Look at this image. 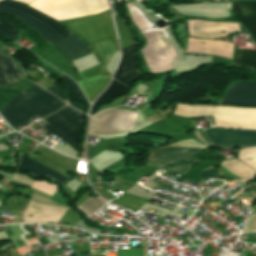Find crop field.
Instances as JSON below:
<instances>
[{
    "mask_svg": "<svg viewBox=\"0 0 256 256\" xmlns=\"http://www.w3.org/2000/svg\"><path fill=\"white\" fill-rule=\"evenodd\" d=\"M19 78L21 74L12 58H8L0 50V87ZM35 85L23 90L1 112L0 115L13 129L21 124L27 126L32 123L30 118L37 115L41 119L65 105L51 93Z\"/></svg>",
    "mask_w": 256,
    "mask_h": 256,
    "instance_id": "1",
    "label": "crop field"
},
{
    "mask_svg": "<svg viewBox=\"0 0 256 256\" xmlns=\"http://www.w3.org/2000/svg\"><path fill=\"white\" fill-rule=\"evenodd\" d=\"M128 7L146 36L148 43L141 53L151 71L159 73L173 69L169 61L178 60L164 29H153L143 14L131 4Z\"/></svg>",
    "mask_w": 256,
    "mask_h": 256,
    "instance_id": "2",
    "label": "crop field"
},
{
    "mask_svg": "<svg viewBox=\"0 0 256 256\" xmlns=\"http://www.w3.org/2000/svg\"><path fill=\"white\" fill-rule=\"evenodd\" d=\"M173 113L187 116L213 115L214 126L256 129V109L177 104Z\"/></svg>",
    "mask_w": 256,
    "mask_h": 256,
    "instance_id": "3",
    "label": "crop field"
},
{
    "mask_svg": "<svg viewBox=\"0 0 256 256\" xmlns=\"http://www.w3.org/2000/svg\"><path fill=\"white\" fill-rule=\"evenodd\" d=\"M28 6L57 21L88 16L108 9L107 0H35Z\"/></svg>",
    "mask_w": 256,
    "mask_h": 256,
    "instance_id": "4",
    "label": "crop field"
},
{
    "mask_svg": "<svg viewBox=\"0 0 256 256\" xmlns=\"http://www.w3.org/2000/svg\"><path fill=\"white\" fill-rule=\"evenodd\" d=\"M60 24L71 34L79 36L87 46L109 38L114 49L118 50L109 10L98 15L61 22Z\"/></svg>",
    "mask_w": 256,
    "mask_h": 256,
    "instance_id": "5",
    "label": "crop field"
},
{
    "mask_svg": "<svg viewBox=\"0 0 256 256\" xmlns=\"http://www.w3.org/2000/svg\"><path fill=\"white\" fill-rule=\"evenodd\" d=\"M0 12L17 16L23 23L41 32L50 44L69 35L59 24L24 5L4 0L0 2Z\"/></svg>",
    "mask_w": 256,
    "mask_h": 256,
    "instance_id": "6",
    "label": "crop field"
},
{
    "mask_svg": "<svg viewBox=\"0 0 256 256\" xmlns=\"http://www.w3.org/2000/svg\"><path fill=\"white\" fill-rule=\"evenodd\" d=\"M138 114L121 110H105L90 118L88 134L132 130Z\"/></svg>",
    "mask_w": 256,
    "mask_h": 256,
    "instance_id": "7",
    "label": "crop field"
},
{
    "mask_svg": "<svg viewBox=\"0 0 256 256\" xmlns=\"http://www.w3.org/2000/svg\"><path fill=\"white\" fill-rule=\"evenodd\" d=\"M203 133L211 146L219 147H246L256 145V131L254 130H226L203 129Z\"/></svg>",
    "mask_w": 256,
    "mask_h": 256,
    "instance_id": "8",
    "label": "crop field"
},
{
    "mask_svg": "<svg viewBox=\"0 0 256 256\" xmlns=\"http://www.w3.org/2000/svg\"><path fill=\"white\" fill-rule=\"evenodd\" d=\"M43 120L62 133L73 144H77L83 124L81 113L66 106Z\"/></svg>",
    "mask_w": 256,
    "mask_h": 256,
    "instance_id": "9",
    "label": "crop field"
},
{
    "mask_svg": "<svg viewBox=\"0 0 256 256\" xmlns=\"http://www.w3.org/2000/svg\"><path fill=\"white\" fill-rule=\"evenodd\" d=\"M219 104L256 107V82H236L232 84Z\"/></svg>",
    "mask_w": 256,
    "mask_h": 256,
    "instance_id": "10",
    "label": "crop field"
},
{
    "mask_svg": "<svg viewBox=\"0 0 256 256\" xmlns=\"http://www.w3.org/2000/svg\"><path fill=\"white\" fill-rule=\"evenodd\" d=\"M202 148L164 146L151 150L148 161L163 168L198 153Z\"/></svg>",
    "mask_w": 256,
    "mask_h": 256,
    "instance_id": "11",
    "label": "crop field"
},
{
    "mask_svg": "<svg viewBox=\"0 0 256 256\" xmlns=\"http://www.w3.org/2000/svg\"><path fill=\"white\" fill-rule=\"evenodd\" d=\"M188 30L190 35L208 38H220L227 34L240 31L238 24L201 20L188 21Z\"/></svg>",
    "mask_w": 256,
    "mask_h": 256,
    "instance_id": "12",
    "label": "crop field"
},
{
    "mask_svg": "<svg viewBox=\"0 0 256 256\" xmlns=\"http://www.w3.org/2000/svg\"><path fill=\"white\" fill-rule=\"evenodd\" d=\"M79 75L83 80L77 81V84L90 102L103 90L110 79L103 73L100 65L80 72Z\"/></svg>",
    "mask_w": 256,
    "mask_h": 256,
    "instance_id": "13",
    "label": "crop field"
},
{
    "mask_svg": "<svg viewBox=\"0 0 256 256\" xmlns=\"http://www.w3.org/2000/svg\"><path fill=\"white\" fill-rule=\"evenodd\" d=\"M233 45L218 40H204L189 38L186 52L203 53L232 59Z\"/></svg>",
    "mask_w": 256,
    "mask_h": 256,
    "instance_id": "14",
    "label": "crop field"
},
{
    "mask_svg": "<svg viewBox=\"0 0 256 256\" xmlns=\"http://www.w3.org/2000/svg\"><path fill=\"white\" fill-rule=\"evenodd\" d=\"M68 208L46 206L31 202L26 213L24 222H48L56 224Z\"/></svg>",
    "mask_w": 256,
    "mask_h": 256,
    "instance_id": "15",
    "label": "crop field"
},
{
    "mask_svg": "<svg viewBox=\"0 0 256 256\" xmlns=\"http://www.w3.org/2000/svg\"><path fill=\"white\" fill-rule=\"evenodd\" d=\"M135 45L136 44L122 50L123 55L114 76V79L122 82L128 87L133 80L140 75V73L136 71V66L138 63L133 55Z\"/></svg>",
    "mask_w": 256,
    "mask_h": 256,
    "instance_id": "16",
    "label": "crop field"
},
{
    "mask_svg": "<svg viewBox=\"0 0 256 256\" xmlns=\"http://www.w3.org/2000/svg\"><path fill=\"white\" fill-rule=\"evenodd\" d=\"M235 11L242 25L247 28L256 40V1H233Z\"/></svg>",
    "mask_w": 256,
    "mask_h": 256,
    "instance_id": "17",
    "label": "crop field"
},
{
    "mask_svg": "<svg viewBox=\"0 0 256 256\" xmlns=\"http://www.w3.org/2000/svg\"><path fill=\"white\" fill-rule=\"evenodd\" d=\"M53 44L61 49L71 61L91 53L78 39L72 36L57 41Z\"/></svg>",
    "mask_w": 256,
    "mask_h": 256,
    "instance_id": "18",
    "label": "crop field"
},
{
    "mask_svg": "<svg viewBox=\"0 0 256 256\" xmlns=\"http://www.w3.org/2000/svg\"><path fill=\"white\" fill-rule=\"evenodd\" d=\"M19 168L27 170L37 176L48 175L60 183H65L68 179L60 176L59 174L41 166L40 164L22 156Z\"/></svg>",
    "mask_w": 256,
    "mask_h": 256,
    "instance_id": "19",
    "label": "crop field"
},
{
    "mask_svg": "<svg viewBox=\"0 0 256 256\" xmlns=\"http://www.w3.org/2000/svg\"><path fill=\"white\" fill-rule=\"evenodd\" d=\"M233 64L256 72V50L235 48Z\"/></svg>",
    "mask_w": 256,
    "mask_h": 256,
    "instance_id": "20",
    "label": "crop field"
},
{
    "mask_svg": "<svg viewBox=\"0 0 256 256\" xmlns=\"http://www.w3.org/2000/svg\"><path fill=\"white\" fill-rule=\"evenodd\" d=\"M221 168L227 170L239 178H247L256 175V172L236 159L222 161Z\"/></svg>",
    "mask_w": 256,
    "mask_h": 256,
    "instance_id": "21",
    "label": "crop field"
},
{
    "mask_svg": "<svg viewBox=\"0 0 256 256\" xmlns=\"http://www.w3.org/2000/svg\"><path fill=\"white\" fill-rule=\"evenodd\" d=\"M116 26L120 38L121 48H125L136 42L134 36L130 33L126 27V22L118 17H115Z\"/></svg>",
    "mask_w": 256,
    "mask_h": 256,
    "instance_id": "22",
    "label": "crop field"
},
{
    "mask_svg": "<svg viewBox=\"0 0 256 256\" xmlns=\"http://www.w3.org/2000/svg\"><path fill=\"white\" fill-rule=\"evenodd\" d=\"M148 200L142 197L129 195V194H123L119 199L115 201V203L122 205L130 210L135 211L140 206H142L145 202Z\"/></svg>",
    "mask_w": 256,
    "mask_h": 256,
    "instance_id": "23",
    "label": "crop field"
},
{
    "mask_svg": "<svg viewBox=\"0 0 256 256\" xmlns=\"http://www.w3.org/2000/svg\"><path fill=\"white\" fill-rule=\"evenodd\" d=\"M128 89L116 81H112L110 87L100 96V98L94 103L92 110L100 103L107 102L111 97L124 93ZM96 109V108H95Z\"/></svg>",
    "mask_w": 256,
    "mask_h": 256,
    "instance_id": "24",
    "label": "crop field"
},
{
    "mask_svg": "<svg viewBox=\"0 0 256 256\" xmlns=\"http://www.w3.org/2000/svg\"><path fill=\"white\" fill-rule=\"evenodd\" d=\"M59 78H60L63 86L69 92L72 99L82 101V102H86V100H85L84 96L82 95L80 89L78 88V86L71 79H69L68 77H66L64 75L59 77Z\"/></svg>",
    "mask_w": 256,
    "mask_h": 256,
    "instance_id": "25",
    "label": "crop field"
},
{
    "mask_svg": "<svg viewBox=\"0 0 256 256\" xmlns=\"http://www.w3.org/2000/svg\"><path fill=\"white\" fill-rule=\"evenodd\" d=\"M198 162H199L198 160H194V159L190 158L185 161H181L176 164L169 165L165 169L168 171H172V172H176V173L185 175L187 173V171Z\"/></svg>",
    "mask_w": 256,
    "mask_h": 256,
    "instance_id": "26",
    "label": "crop field"
},
{
    "mask_svg": "<svg viewBox=\"0 0 256 256\" xmlns=\"http://www.w3.org/2000/svg\"><path fill=\"white\" fill-rule=\"evenodd\" d=\"M238 159L242 160L244 163L256 170V147L241 150L239 152Z\"/></svg>",
    "mask_w": 256,
    "mask_h": 256,
    "instance_id": "27",
    "label": "crop field"
},
{
    "mask_svg": "<svg viewBox=\"0 0 256 256\" xmlns=\"http://www.w3.org/2000/svg\"><path fill=\"white\" fill-rule=\"evenodd\" d=\"M16 26L12 24L11 22L0 18V34L7 37L16 40L15 31Z\"/></svg>",
    "mask_w": 256,
    "mask_h": 256,
    "instance_id": "28",
    "label": "crop field"
},
{
    "mask_svg": "<svg viewBox=\"0 0 256 256\" xmlns=\"http://www.w3.org/2000/svg\"><path fill=\"white\" fill-rule=\"evenodd\" d=\"M20 91L2 90L0 89V111L4 105L10 101Z\"/></svg>",
    "mask_w": 256,
    "mask_h": 256,
    "instance_id": "29",
    "label": "crop field"
},
{
    "mask_svg": "<svg viewBox=\"0 0 256 256\" xmlns=\"http://www.w3.org/2000/svg\"><path fill=\"white\" fill-rule=\"evenodd\" d=\"M44 129H46L48 132H50L51 134H53L54 136L58 137L59 139H61L63 142H65L67 145H69L72 149H74L76 151L75 146L68 141L66 138H64L63 136H61L57 131H55L51 126H47Z\"/></svg>",
    "mask_w": 256,
    "mask_h": 256,
    "instance_id": "30",
    "label": "crop field"
},
{
    "mask_svg": "<svg viewBox=\"0 0 256 256\" xmlns=\"http://www.w3.org/2000/svg\"><path fill=\"white\" fill-rule=\"evenodd\" d=\"M199 173L202 175V177H205V178H214V179L221 178L216 169H209V170L201 171Z\"/></svg>",
    "mask_w": 256,
    "mask_h": 256,
    "instance_id": "31",
    "label": "crop field"
},
{
    "mask_svg": "<svg viewBox=\"0 0 256 256\" xmlns=\"http://www.w3.org/2000/svg\"><path fill=\"white\" fill-rule=\"evenodd\" d=\"M46 90H48L49 92H51L52 94L60 97L61 99H63L64 101L67 98V95L62 92L59 88H57L54 84H52L51 86H49Z\"/></svg>",
    "mask_w": 256,
    "mask_h": 256,
    "instance_id": "32",
    "label": "crop field"
},
{
    "mask_svg": "<svg viewBox=\"0 0 256 256\" xmlns=\"http://www.w3.org/2000/svg\"><path fill=\"white\" fill-rule=\"evenodd\" d=\"M252 230H256V213L253 214V216H252L249 224L247 225L246 229L244 230V232L252 231Z\"/></svg>",
    "mask_w": 256,
    "mask_h": 256,
    "instance_id": "33",
    "label": "crop field"
},
{
    "mask_svg": "<svg viewBox=\"0 0 256 256\" xmlns=\"http://www.w3.org/2000/svg\"><path fill=\"white\" fill-rule=\"evenodd\" d=\"M14 179L19 180V181L24 182V183H27L29 185H31L32 182H33L32 180H30L28 178H25V177H22V176L17 175V174L15 175Z\"/></svg>",
    "mask_w": 256,
    "mask_h": 256,
    "instance_id": "34",
    "label": "crop field"
},
{
    "mask_svg": "<svg viewBox=\"0 0 256 256\" xmlns=\"http://www.w3.org/2000/svg\"><path fill=\"white\" fill-rule=\"evenodd\" d=\"M69 105H71L72 107H74V108H76V109H78V110H80V111H83L84 105L76 104V103H71V104H69Z\"/></svg>",
    "mask_w": 256,
    "mask_h": 256,
    "instance_id": "35",
    "label": "crop field"
},
{
    "mask_svg": "<svg viewBox=\"0 0 256 256\" xmlns=\"http://www.w3.org/2000/svg\"><path fill=\"white\" fill-rule=\"evenodd\" d=\"M0 1H2V0H0ZM16 1L23 2V3L28 4V3H30V2L33 1V0H16Z\"/></svg>",
    "mask_w": 256,
    "mask_h": 256,
    "instance_id": "36",
    "label": "crop field"
},
{
    "mask_svg": "<svg viewBox=\"0 0 256 256\" xmlns=\"http://www.w3.org/2000/svg\"><path fill=\"white\" fill-rule=\"evenodd\" d=\"M0 163H1V161H0Z\"/></svg>",
    "mask_w": 256,
    "mask_h": 256,
    "instance_id": "37",
    "label": "crop field"
}]
</instances>
